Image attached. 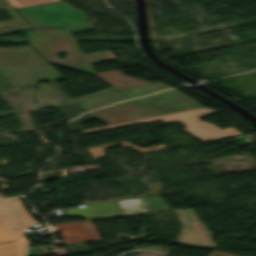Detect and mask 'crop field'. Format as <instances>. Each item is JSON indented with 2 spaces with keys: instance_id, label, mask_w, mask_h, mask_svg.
<instances>
[{
  "instance_id": "crop-field-16",
  "label": "crop field",
  "mask_w": 256,
  "mask_h": 256,
  "mask_svg": "<svg viewBox=\"0 0 256 256\" xmlns=\"http://www.w3.org/2000/svg\"><path fill=\"white\" fill-rule=\"evenodd\" d=\"M0 198H2V197H0Z\"/></svg>"
},
{
  "instance_id": "crop-field-6",
  "label": "crop field",
  "mask_w": 256,
  "mask_h": 256,
  "mask_svg": "<svg viewBox=\"0 0 256 256\" xmlns=\"http://www.w3.org/2000/svg\"><path fill=\"white\" fill-rule=\"evenodd\" d=\"M66 243L101 240L95 227L85 221L57 225Z\"/></svg>"
},
{
  "instance_id": "crop-field-4",
  "label": "crop field",
  "mask_w": 256,
  "mask_h": 256,
  "mask_svg": "<svg viewBox=\"0 0 256 256\" xmlns=\"http://www.w3.org/2000/svg\"><path fill=\"white\" fill-rule=\"evenodd\" d=\"M119 215H128L125 205L121 200L88 204L86 207L65 210V216H82L88 219Z\"/></svg>"
},
{
  "instance_id": "crop-field-8",
  "label": "crop field",
  "mask_w": 256,
  "mask_h": 256,
  "mask_svg": "<svg viewBox=\"0 0 256 256\" xmlns=\"http://www.w3.org/2000/svg\"><path fill=\"white\" fill-rule=\"evenodd\" d=\"M92 75L98 77L99 79L117 90L150 84L146 81L127 77L123 73H121L119 69L95 73Z\"/></svg>"
},
{
  "instance_id": "crop-field-2",
  "label": "crop field",
  "mask_w": 256,
  "mask_h": 256,
  "mask_svg": "<svg viewBox=\"0 0 256 256\" xmlns=\"http://www.w3.org/2000/svg\"><path fill=\"white\" fill-rule=\"evenodd\" d=\"M92 117L109 125L139 118H145L155 115L166 114V112L150 105L139 106L129 100L103 109L88 113Z\"/></svg>"
},
{
  "instance_id": "crop-field-13",
  "label": "crop field",
  "mask_w": 256,
  "mask_h": 256,
  "mask_svg": "<svg viewBox=\"0 0 256 256\" xmlns=\"http://www.w3.org/2000/svg\"><path fill=\"white\" fill-rule=\"evenodd\" d=\"M139 198L123 200L127 210L137 209Z\"/></svg>"
},
{
  "instance_id": "crop-field-14",
  "label": "crop field",
  "mask_w": 256,
  "mask_h": 256,
  "mask_svg": "<svg viewBox=\"0 0 256 256\" xmlns=\"http://www.w3.org/2000/svg\"><path fill=\"white\" fill-rule=\"evenodd\" d=\"M208 256H237V255L229 254V253L218 251V250H213Z\"/></svg>"
},
{
  "instance_id": "crop-field-1",
  "label": "crop field",
  "mask_w": 256,
  "mask_h": 256,
  "mask_svg": "<svg viewBox=\"0 0 256 256\" xmlns=\"http://www.w3.org/2000/svg\"><path fill=\"white\" fill-rule=\"evenodd\" d=\"M17 212V213H14ZM37 223L24 210L18 198L0 201V256H24L27 239L24 229Z\"/></svg>"
},
{
  "instance_id": "crop-field-9",
  "label": "crop field",
  "mask_w": 256,
  "mask_h": 256,
  "mask_svg": "<svg viewBox=\"0 0 256 256\" xmlns=\"http://www.w3.org/2000/svg\"><path fill=\"white\" fill-rule=\"evenodd\" d=\"M157 210H170L161 196L140 198L138 210L129 211V213L133 214Z\"/></svg>"
},
{
  "instance_id": "crop-field-3",
  "label": "crop field",
  "mask_w": 256,
  "mask_h": 256,
  "mask_svg": "<svg viewBox=\"0 0 256 256\" xmlns=\"http://www.w3.org/2000/svg\"><path fill=\"white\" fill-rule=\"evenodd\" d=\"M181 225V231L175 243L199 248H214L215 243L209 235L191 225L197 217L193 210L175 211ZM175 215V216H176Z\"/></svg>"
},
{
  "instance_id": "crop-field-12",
  "label": "crop field",
  "mask_w": 256,
  "mask_h": 256,
  "mask_svg": "<svg viewBox=\"0 0 256 256\" xmlns=\"http://www.w3.org/2000/svg\"><path fill=\"white\" fill-rule=\"evenodd\" d=\"M16 87L17 86L0 70V91Z\"/></svg>"
},
{
  "instance_id": "crop-field-5",
  "label": "crop field",
  "mask_w": 256,
  "mask_h": 256,
  "mask_svg": "<svg viewBox=\"0 0 256 256\" xmlns=\"http://www.w3.org/2000/svg\"><path fill=\"white\" fill-rule=\"evenodd\" d=\"M174 94H177V95L166 98V99H162L153 103L150 102L152 100H156V99L167 97ZM135 101L139 104H144L149 102L150 104L166 112L202 107V105H200L199 103L193 101L192 99L188 98L187 96L181 94L176 90L159 92L157 94H154L142 99H137Z\"/></svg>"
},
{
  "instance_id": "crop-field-7",
  "label": "crop field",
  "mask_w": 256,
  "mask_h": 256,
  "mask_svg": "<svg viewBox=\"0 0 256 256\" xmlns=\"http://www.w3.org/2000/svg\"><path fill=\"white\" fill-rule=\"evenodd\" d=\"M124 99H126V97L113 90L112 88H109L89 95L78 97L73 99V101L82 107L85 111H89Z\"/></svg>"
},
{
  "instance_id": "crop-field-10",
  "label": "crop field",
  "mask_w": 256,
  "mask_h": 256,
  "mask_svg": "<svg viewBox=\"0 0 256 256\" xmlns=\"http://www.w3.org/2000/svg\"><path fill=\"white\" fill-rule=\"evenodd\" d=\"M165 88H169V87L163 86L161 84H151V85H147V86L121 90V92L129 98H134L137 96H141V95H145V94L152 93L155 91H159V90H162Z\"/></svg>"
},
{
  "instance_id": "crop-field-15",
  "label": "crop field",
  "mask_w": 256,
  "mask_h": 256,
  "mask_svg": "<svg viewBox=\"0 0 256 256\" xmlns=\"http://www.w3.org/2000/svg\"><path fill=\"white\" fill-rule=\"evenodd\" d=\"M192 225L196 226L197 228H199L200 230L204 231L205 233L209 234L210 235V232L203 227V225L197 220V221H194L192 222Z\"/></svg>"
},
{
  "instance_id": "crop-field-11",
  "label": "crop field",
  "mask_w": 256,
  "mask_h": 256,
  "mask_svg": "<svg viewBox=\"0 0 256 256\" xmlns=\"http://www.w3.org/2000/svg\"><path fill=\"white\" fill-rule=\"evenodd\" d=\"M15 8L43 4L58 0H8Z\"/></svg>"
}]
</instances>
